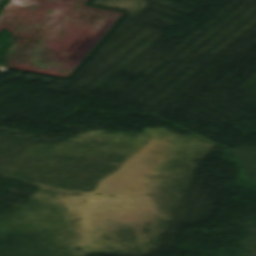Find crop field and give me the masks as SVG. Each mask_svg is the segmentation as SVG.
<instances>
[{
  "label": "crop field",
  "mask_w": 256,
  "mask_h": 256,
  "mask_svg": "<svg viewBox=\"0 0 256 256\" xmlns=\"http://www.w3.org/2000/svg\"><path fill=\"white\" fill-rule=\"evenodd\" d=\"M3 0H0V4ZM18 0H11L9 4L0 13V21L5 17V15L10 11V9L16 4Z\"/></svg>",
  "instance_id": "1"
}]
</instances>
